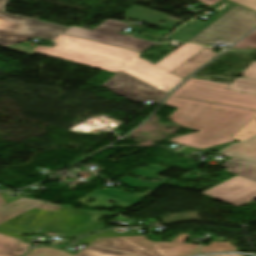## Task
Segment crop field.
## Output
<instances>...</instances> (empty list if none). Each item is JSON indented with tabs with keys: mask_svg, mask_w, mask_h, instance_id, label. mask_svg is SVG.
I'll return each instance as SVG.
<instances>
[{
	"mask_svg": "<svg viewBox=\"0 0 256 256\" xmlns=\"http://www.w3.org/2000/svg\"><path fill=\"white\" fill-rule=\"evenodd\" d=\"M55 47L16 45L6 49L32 56L35 53L117 73L123 70L165 92L183 79L170 72L204 47L184 43L156 65L138 57L141 53L61 34Z\"/></svg>",
	"mask_w": 256,
	"mask_h": 256,
	"instance_id": "crop-field-1",
	"label": "crop field"
},
{
	"mask_svg": "<svg viewBox=\"0 0 256 256\" xmlns=\"http://www.w3.org/2000/svg\"><path fill=\"white\" fill-rule=\"evenodd\" d=\"M165 105L178 108L169 120L200 130L170 141L198 149L236 140L231 136L256 115L254 111L172 96Z\"/></svg>",
	"mask_w": 256,
	"mask_h": 256,
	"instance_id": "crop-field-2",
	"label": "crop field"
},
{
	"mask_svg": "<svg viewBox=\"0 0 256 256\" xmlns=\"http://www.w3.org/2000/svg\"><path fill=\"white\" fill-rule=\"evenodd\" d=\"M48 211L50 213L39 229L63 232L74 236L102 230L97 220L103 215L114 216L117 214L105 211H81L68 206L44 203L1 224L0 233L25 240L19 235L34 232Z\"/></svg>",
	"mask_w": 256,
	"mask_h": 256,
	"instance_id": "crop-field-3",
	"label": "crop field"
},
{
	"mask_svg": "<svg viewBox=\"0 0 256 256\" xmlns=\"http://www.w3.org/2000/svg\"><path fill=\"white\" fill-rule=\"evenodd\" d=\"M188 236L180 234L172 243H154L144 236L99 238L90 245L139 256H190L196 254L199 245L184 244Z\"/></svg>",
	"mask_w": 256,
	"mask_h": 256,
	"instance_id": "crop-field-4",
	"label": "crop field"
},
{
	"mask_svg": "<svg viewBox=\"0 0 256 256\" xmlns=\"http://www.w3.org/2000/svg\"><path fill=\"white\" fill-rule=\"evenodd\" d=\"M227 86L224 83L190 78L171 95L256 110V95L227 90Z\"/></svg>",
	"mask_w": 256,
	"mask_h": 256,
	"instance_id": "crop-field-5",
	"label": "crop field"
},
{
	"mask_svg": "<svg viewBox=\"0 0 256 256\" xmlns=\"http://www.w3.org/2000/svg\"><path fill=\"white\" fill-rule=\"evenodd\" d=\"M255 27L256 13L236 6L189 42L210 44L221 41L233 44Z\"/></svg>",
	"mask_w": 256,
	"mask_h": 256,
	"instance_id": "crop-field-6",
	"label": "crop field"
},
{
	"mask_svg": "<svg viewBox=\"0 0 256 256\" xmlns=\"http://www.w3.org/2000/svg\"><path fill=\"white\" fill-rule=\"evenodd\" d=\"M6 0H0V45L9 46L34 37L51 40L67 27L4 14Z\"/></svg>",
	"mask_w": 256,
	"mask_h": 256,
	"instance_id": "crop-field-7",
	"label": "crop field"
},
{
	"mask_svg": "<svg viewBox=\"0 0 256 256\" xmlns=\"http://www.w3.org/2000/svg\"><path fill=\"white\" fill-rule=\"evenodd\" d=\"M129 25L130 24L116 20H106L94 30L71 26L63 33L140 52L145 51L155 43L140 38L119 34Z\"/></svg>",
	"mask_w": 256,
	"mask_h": 256,
	"instance_id": "crop-field-8",
	"label": "crop field"
},
{
	"mask_svg": "<svg viewBox=\"0 0 256 256\" xmlns=\"http://www.w3.org/2000/svg\"><path fill=\"white\" fill-rule=\"evenodd\" d=\"M102 87L130 100L145 102L151 100L159 101L167 94L122 72L119 71L115 76L108 80Z\"/></svg>",
	"mask_w": 256,
	"mask_h": 256,
	"instance_id": "crop-field-9",
	"label": "crop field"
},
{
	"mask_svg": "<svg viewBox=\"0 0 256 256\" xmlns=\"http://www.w3.org/2000/svg\"><path fill=\"white\" fill-rule=\"evenodd\" d=\"M203 194L235 206H243L256 199V182L237 175Z\"/></svg>",
	"mask_w": 256,
	"mask_h": 256,
	"instance_id": "crop-field-10",
	"label": "crop field"
},
{
	"mask_svg": "<svg viewBox=\"0 0 256 256\" xmlns=\"http://www.w3.org/2000/svg\"><path fill=\"white\" fill-rule=\"evenodd\" d=\"M125 18H132L147 24H151L157 27L170 29V30H173L183 22L181 20L176 21L174 19H171L167 15L153 12V11L136 7V6L132 7L131 9L125 12ZM162 20L167 23L164 25L158 24Z\"/></svg>",
	"mask_w": 256,
	"mask_h": 256,
	"instance_id": "crop-field-11",
	"label": "crop field"
},
{
	"mask_svg": "<svg viewBox=\"0 0 256 256\" xmlns=\"http://www.w3.org/2000/svg\"><path fill=\"white\" fill-rule=\"evenodd\" d=\"M217 55V53L212 52V48L206 47L198 54L190 58L188 61L180 65L174 71H172V73L184 79Z\"/></svg>",
	"mask_w": 256,
	"mask_h": 256,
	"instance_id": "crop-field-12",
	"label": "crop field"
},
{
	"mask_svg": "<svg viewBox=\"0 0 256 256\" xmlns=\"http://www.w3.org/2000/svg\"><path fill=\"white\" fill-rule=\"evenodd\" d=\"M44 202L22 197L0 208V223L17 216Z\"/></svg>",
	"mask_w": 256,
	"mask_h": 256,
	"instance_id": "crop-field-13",
	"label": "crop field"
},
{
	"mask_svg": "<svg viewBox=\"0 0 256 256\" xmlns=\"http://www.w3.org/2000/svg\"><path fill=\"white\" fill-rule=\"evenodd\" d=\"M30 246L28 243L0 234V256H22Z\"/></svg>",
	"mask_w": 256,
	"mask_h": 256,
	"instance_id": "crop-field-14",
	"label": "crop field"
},
{
	"mask_svg": "<svg viewBox=\"0 0 256 256\" xmlns=\"http://www.w3.org/2000/svg\"><path fill=\"white\" fill-rule=\"evenodd\" d=\"M222 165L225 166L228 171L256 180L255 163L234 156Z\"/></svg>",
	"mask_w": 256,
	"mask_h": 256,
	"instance_id": "crop-field-15",
	"label": "crop field"
},
{
	"mask_svg": "<svg viewBox=\"0 0 256 256\" xmlns=\"http://www.w3.org/2000/svg\"><path fill=\"white\" fill-rule=\"evenodd\" d=\"M221 154L230 157L236 155L240 158L256 163V138L246 143L236 144L221 152Z\"/></svg>",
	"mask_w": 256,
	"mask_h": 256,
	"instance_id": "crop-field-16",
	"label": "crop field"
},
{
	"mask_svg": "<svg viewBox=\"0 0 256 256\" xmlns=\"http://www.w3.org/2000/svg\"><path fill=\"white\" fill-rule=\"evenodd\" d=\"M228 89L256 94V80L252 79H235Z\"/></svg>",
	"mask_w": 256,
	"mask_h": 256,
	"instance_id": "crop-field-17",
	"label": "crop field"
},
{
	"mask_svg": "<svg viewBox=\"0 0 256 256\" xmlns=\"http://www.w3.org/2000/svg\"><path fill=\"white\" fill-rule=\"evenodd\" d=\"M75 256H134V255L91 247L87 245L86 248H84L81 252L77 253Z\"/></svg>",
	"mask_w": 256,
	"mask_h": 256,
	"instance_id": "crop-field-18",
	"label": "crop field"
},
{
	"mask_svg": "<svg viewBox=\"0 0 256 256\" xmlns=\"http://www.w3.org/2000/svg\"><path fill=\"white\" fill-rule=\"evenodd\" d=\"M256 135V117H254L248 124H246L239 132H237L234 138L245 141Z\"/></svg>",
	"mask_w": 256,
	"mask_h": 256,
	"instance_id": "crop-field-19",
	"label": "crop field"
},
{
	"mask_svg": "<svg viewBox=\"0 0 256 256\" xmlns=\"http://www.w3.org/2000/svg\"><path fill=\"white\" fill-rule=\"evenodd\" d=\"M221 251H237V248L236 246H231L230 243L224 242H210L209 246H202L201 248V253Z\"/></svg>",
	"mask_w": 256,
	"mask_h": 256,
	"instance_id": "crop-field-20",
	"label": "crop field"
},
{
	"mask_svg": "<svg viewBox=\"0 0 256 256\" xmlns=\"http://www.w3.org/2000/svg\"><path fill=\"white\" fill-rule=\"evenodd\" d=\"M135 235H139V234H135V233H116L113 229H110V230L101 231V232L95 233L93 235L87 236L83 240H81L80 242L89 244L90 242H92L94 239H96L98 237L135 236Z\"/></svg>",
	"mask_w": 256,
	"mask_h": 256,
	"instance_id": "crop-field-21",
	"label": "crop field"
},
{
	"mask_svg": "<svg viewBox=\"0 0 256 256\" xmlns=\"http://www.w3.org/2000/svg\"><path fill=\"white\" fill-rule=\"evenodd\" d=\"M26 256H73V255L60 250L48 248V247H40L38 249L32 250Z\"/></svg>",
	"mask_w": 256,
	"mask_h": 256,
	"instance_id": "crop-field-22",
	"label": "crop field"
},
{
	"mask_svg": "<svg viewBox=\"0 0 256 256\" xmlns=\"http://www.w3.org/2000/svg\"><path fill=\"white\" fill-rule=\"evenodd\" d=\"M251 48H246V47ZM238 49H256V30L233 46Z\"/></svg>",
	"mask_w": 256,
	"mask_h": 256,
	"instance_id": "crop-field-23",
	"label": "crop field"
},
{
	"mask_svg": "<svg viewBox=\"0 0 256 256\" xmlns=\"http://www.w3.org/2000/svg\"><path fill=\"white\" fill-rule=\"evenodd\" d=\"M244 7L250 8L256 11V0H230Z\"/></svg>",
	"mask_w": 256,
	"mask_h": 256,
	"instance_id": "crop-field-24",
	"label": "crop field"
},
{
	"mask_svg": "<svg viewBox=\"0 0 256 256\" xmlns=\"http://www.w3.org/2000/svg\"><path fill=\"white\" fill-rule=\"evenodd\" d=\"M243 76L256 78V61L252 63L244 72Z\"/></svg>",
	"mask_w": 256,
	"mask_h": 256,
	"instance_id": "crop-field-25",
	"label": "crop field"
},
{
	"mask_svg": "<svg viewBox=\"0 0 256 256\" xmlns=\"http://www.w3.org/2000/svg\"><path fill=\"white\" fill-rule=\"evenodd\" d=\"M200 1H202L203 3H205V4L209 5L210 7H212L213 5H215L216 3H218L221 0H200Z\"/></svg>",
	"mask_w": 256,
	"mask_h": 256,
	"instance_id": "crop-field-26",
	"label": "crop field"
},
{
	"mask_svg": "<svg viewBox=\"0 0 256 256\" xmlns=\"http://www.w3.org/2000/svg\"><path fill=\"white\" fill-rule=\"evenodd\" d=\"M5 204H7V203L5 202V200L3 199L2 195L0 194V206H3Z\"/></svg>",
	"mask_w": 256,
	"mask_h": 256,
	"instance_id": "crop-field-27",
	"label": "crop field"
},
{
	"mask_svg": "<svg viewBox=\"0 0 256 256\" xmlns=\"http://www.w3.org/2000/svg\"><path fill=\"white\" fill-rule=\"evenodd\" d=\"M212 256H242V255H212Z\"/></svg>",
	"mask_w": 256,
	"mask_h": 256,
	"instance_id": "crop-field-28",
	"label": "crop field"
}]
</instances>
